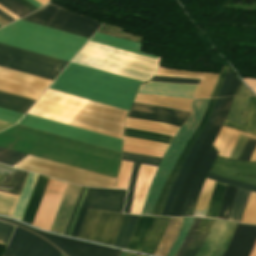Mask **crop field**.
Masks as SVG:
<instances>
[{
    "label": "crop field",
    "mask_w": 256,
    "mask_h": 256,
    "mask_svg": "<svg viewBox=\"0 0 256 256\" xmlns=\"http://www.w3.org/2000/svg\"><path fill=\"white\" fill-rule=\"evenodd\" d=\"M27 1H29L30 3H32L33 5H35L36 7H41V6H43V5H41L40 3H38L37 1H35V0H27Z\"/></svg>",
    "instance_id": "64"
},
{
    "label": "crop field",
    "mask_w": 256,
    "mask_h": 256,
    "mask_svg": "<svg viewBox=\"0 0 256 256\" xmlns=\"http://www.w3.org/2000/svg\"><path fill=\"white\" fill-rule=\"evenodd\" d=\"M189 114L188 112L134 102L129 115H127L130 118L159 121L180 127Z\"/></svg>",
    "instance_id": "16"
},
{
    "label": "crop field",
    "mask_w": 256,
    "mask_h": 256,
    "mask_svg": "<svg viewBox=\"0 0 256 256\" xmlns=\"http://www.w3.org/2000/svg\"><path fill=\"white\" fill-rule=\"evenodd\" d=\"M227 69H228L227 67H224V69L222 70L220 78H219V80H218V82H217V84H216V86H215V88L213 90V93H212L210 98H213V97L217 96V93H218L220 85H221V83H222V81H223V79L225 77Z\"/></svg>",
    "instance_id": "55"
},
{
    "label": "crop field",
    "mask_w": 256,
    "mask_h": 256,
    "mask_svg": "<svg viewBox=\"0 0 256 256\" xmlns=\"http://www.w3.org/2000/svg\"><path fill=\"white\" fill-rule=\"evenodd\" d=\"M72 63L50 89L129 110L142 82Z\"/></svg>",
    "instance_id": "2"
},
{
    "label": "crop field",
    "mask_w": 256,
    "mask_h": 256,
    "mask_svg": "<svg viewBox=\"0 0 256 256\" xmlns=\"http://www.w3.org/2000/svg\"><path fill=\"white\" fill-rule=\"evenodd\" d=\"M33 102L34 100L26 99L0 91L1 108L25 114V112L29 109Z\"/></svg>",
    "instance_id": "30"
},
{
    "label": "crop field",
    "mask_w": 256,
    "mask_h": 256,
    "mask_svg": "<svg viewBox=\"0 0 256 256\" xmlns=\"http://www.w3.org/2000/svg\"><path fill=\"white\" fill-rule=\"evenodd\" d=\"M240 83L241 82L235 77V75H233L224 97L234 95L235 91H236L237 87L240 85Z\"/></svg>",
    "instance_id": "53"
},
{
    "label": "crop field",
    "mask_w": 256,
    "mask_h": 256,
    "mask_svg": "<svg viewBox=\"0 0 256 256\" xmlns=\"http://www.w3.org/2000/svg\"><path fill=\"white\" fill-rule=\"evenodd\" d=\"M218 152L219 151L212 146L211 149L209 150V152L207 153V155L200 167V170L195 178V181L188 193L181 216H192L193 215V211H194L202 184H203L205 177L211 167V164Z\"/></svg>",
    "instance_id": "23"
},
{
    "label": "crop field",
    "mask_w": 256,
    "mask_h": 256,
    "mask_svg": "<svg viewBox=\"0 0 256 256\" xmlns=\"http://www.w3.org/2000/svg\"><path fill=\"white\" fill-rule=\"evenodd\" d=\"M138 217L139 216L136 215H124L119 230L112 244L113 246H117L124 249L126 248Z\"/></svg>",
    "instance_id": "32"
},
{
    "label": "crop field",
    "mask_w": 256,
    "mask_h": 256,
    "mask_svg": "<svg viewBox=\"0 0 256 256\" xmlns=\"http://www.w3.org/2000/svg\"><path fill=\"white\" fill-rule=\"evenodd\" d=\"M0 24L6 25V24H8V22L0 17Z\"/></svg>",
    "instance_id": "66"
},
{
    "label": "crop field",
    "mask_w": 256,
    "mask_h": 256,
    "mask_svg": "<svg viewBox=\"0 0 256 256\" xmlns=\"http://www.w3.org/2000/svg\"><path fill=\"white\" fill-rule=\"evenodd\" d=\"M81 188V186L68 184L50 231L65 234Z\"/></svg>",
    "instance_id": "22"
},
{
    "label": "crop field",
    "mask_w": 256,
    "mask_h": 256,
    "mask_svg": "<svg viewBox=\"0 0 256 256\" xmlns=\"http://www.w3.org/2000/svg\"><path fill=\"white\" fill-rule=\"evenodd\" d=\"M124 136L153 140V141L163 142L167 144H170L171 140L173 139L172 136L145 132V131H138V130H129V129H125Z\"/></svg>",
    "instance_id": "38"
},
{
    "label": "crop field",
    "mask_w": 256,
    "mask_h": 256,
    "mask_svg": "<svg viewBox=\"0 0 256 256\" xmlns=\"http://www.w3.org/2000/svg\"><path fill=\"white\" fill-rule=\"evenodd\" d=\"M199 220H200V218H195L194 219L192 227H191L185 241L183 242L181 248L179 249L178 253L176 254V256H183V254L186 251L187 247L189 246L194 234L197 232V228H198V225H199Z\"/></svg>",
    "instance_id": "46"
},
{
    "label": "crop field",
    "mask_w": 256,
    "mask_h": 256,
    "mask_svg": "<svg viewBox=\"0 0 256 256\" xmlns=\"http://www.w3.org/2000/svg\"><path fill=\"white\" fill-rule=\"evenodd\" d=\"M255 144H256V140L249 138L242 153H241L239 160L249 161L251 158V155L254 151Z\"/></svg>",
    "instance_id": "50"
},
{
    "label": "crop field",
    "mask_w": 256,
    "mask_h": 256,
    "mask_svg": "<svg viewBox=\"0 0 256 256\" xmlns=\"http://www.w3.org/2000/svg\"><path fill=\"white\" fill-rule=\"evenodd\" d=\"M19 125L83 141L121 152V139L101 135L58 122L26 114Z\"/></svg>",
    "instance_id": "8"
},
{
    "label": "crop field",
    "mask_w": 256,
    "mask_h": 256,
    "mask_svg": "<svg viewBox=\"0 0 256 256\" xmlns=\"http://www.w3.org/2000/svg\"><path fill=\"white\" fill-rule=\"evenodd\" d=\"M250 256H256V244H255L254 249H253Z\"/></svg>",
    "instance_id": "67"
},
{
    "label": "crop field",
    "mask_w": 256,
    "mask_h": 256,
    "mask_svg": "<svg viewBox=\"0 0 256 256\" xmlns=\"http://www.w3.org/2000/svg\"><path fill=\"white\" fill-rule=\"evenodd\" d=\"M90 42H94V43H98V44L106 45V46H109V47H113V48H117V49L125 50V51H128V52H132V53L140 54V55H143V56H147V57H151V58H155V59H159V60L161 59V58H159V57L152 56V55H149V54H146V53L140 52V51H136V50L128 49V48H125V47H121V46H117V45L109 44V43L102 42V41H98V40H94V39H90Z\"/></svg>",
    "instance_id": "52"
},
{
    "label": "crop field",
    "mask_w": 256,
    "mask_h": 256,
    "mask_svg": "<svg viewBox=\"0 0 256 256\" xmlns=\"http://www.w3.org/2000/svg\"><path fill=\"white\" fill-rule=\"evenodd\" d=\"M0 28H1V26H0Z\"/></svg>",
    "instance_id": "71"
},
{
    "label": "crop field",
    "mask_w": 256,
    "mask_h": 256,
    "mask_svg": "<svg viewBox=\"0 0 256 256\" xmlns=\"http://www.w3.org/2000/svg\"><path fill=\"white\" fill-rule=\"evenodd\" d=\"M61 253L48 242L16 228L3 256H60Z\"/></svg>",
    "instance_id": "12"
},
{
    "label": "crop field",
    "mask_w": 256,
    "mask_h": 256,
    "mask_svg": "<svg viewBox=\"0 0 256 256\" xmlns=\"http://www.w3.org/2000/svg\"><path fill=\"white\" fill-rule=\"evenodd\" d=\"M14 227L0 222V245L6 246Z\"/></svg>",
    "instance_id": "49"
},
{
    "label": "crop field",
    "mask_w": 256,
    "mask_h": 256,
    "mask_svg": "<svg viewBox=\"0 0 256 256\" xmlns=\"http://www.w3.org/2000/svg\"><path fill=\"white\" fill-rule=\"evenodd\" d=\"M12 171L13 168L0 165V191ZM27 174V172L14 169L2 191L19 195ZM3 192H0V214L11 217L19 196Z\"/></svg>",
    "instance_id": "15"
},
{
    "label": "crop field",
    "mask_w": 256,
    "mask_h": 256,
    "mask_svg": "<svg viewBox=\"0 0 256 256\" xmlns=\"http://www.w3.org/2000/svg\"><path fill=\"white\" fill-rule=\"evenodd\" d=\"M232 74H233V72L228 70V72L226 74V77L224 79V82H223V84L221 86V89H220L219 94H218L217 97H223L224 96V93L226 91L227 85H228V83L230 81V78H231Z\"/></svg>",
    "instance_id": "54"
},
{
    "label": "crop field",
    "mask_w": 256,
    "mask_h": 256,
    "mask_svg": "<svg viewBox=\"0 0 256 256\" xmlns=\"http://www.w3.org/2000/svg\"><path fill=\"white\" fill-rule=\"evenodd\" d=\"M11 125H13V124H9V123H5V122L0 121V131L9 127V126H11Z\"/></svg>",
    "instance_id": "62"
},
{
    "label": "crop field",
    "mask_w": 256,
    "mask_h": 256,
    "mask_svg": "<svg viewBox=\"0 0 256 256\" xmlns=\"http://www.w3.org/2000/svg\"><path fill=\"white\" fill-rule=\"evenodd\" d=\"M184 218L171 217L167 225L166 231L156 249L155 256H167L173 242L175 241Z\"/></svg>",
    "instance_id": "28"
},
{
    "label": "crop field",
    "mask_w": 256,
    "mask_h": 256,
    "mask_svg": "<svg viewBox=\"0 0 256 256\" xmlns=\"http://www.w3.org/2000/svg\"><path fill=\"white\" fill-rule=\"evenodd\" d=\"M151 80L172 82V83H190V84H199V82H200V80H194V79L167 78V77H159V76H154Z\"/></svg>",
    "instance_id": "51"
},
{
    "label": "crop field",
    "mask_w": 256,
    "mask_h": 256,
    "mask_svg": "<svg viewBox=\"0 0 256 256\" xmlns=\"http://www.w3.org/2000/svg\"><path fill=\"white\" fill-rule=\"evenodd\" d=\"M67 182L49 179L37 214L35 216L33 226L50 230L59 204L65 192Z\"/></svg>",
    "instance_id": "14"
},
{
    "label": "crop field",
    "mask_w": 256,
    "mask_h": 256,
    "mask_svg": "<svg viewBox=\"0 0 256 256\" xmlns=\"http://www.w3.org/2000/svg\"><path fill=\"white\" fill-rule=\"evenodd\" d=\"M216 99H210L209 102H208V105H207V108L205 110V113H204V116L202 118V121L200 123V125L198 126V128L196 129V131L194 132V134L192 135V137L190 138L189 142L187 143L186 147L184 148L183 152L181 153L180 157L178 158L176 164H175V167L173 168L169 178L167 179L161 193H160V196L158 198V201L155 205V208H154V212L152 215H156V216H160L161 213H162V210L164 208V205H165V202L167 200V197H168V194L170 192V189L179 173V170L183 164V162L185 161L187 155L189 154L197 136L199 135L200 131L202 130L208 116H209V113L213 107V104L215 102Z\"/></svg>",
    "instance_id": "18"
},
{
    "label": "crop field",
    "mask_w": 256,
    "mask_h": 256,
    "mask_svg": "<svg viewBox=\"0 0 256 256\" xmlns=\"http://www.w3.org/2000/svg\"><path fill=\"white\" fill-rule=\"evenodd\" d=\"M225 126L256 136V98L250 97L246 127L225 121Z\"/></svg>",
    "instance_id": "34"
},
{
    "label": "crop field",
    "mask_w": 256,
    "mask_h": 256,
    "mask_svg": "<svg viewBox=\"0 0 256 256\" xmlns=\"http://www.w3.org/2000/svg\"><path fill=\"white\" fill-rule=\"evenodd\" d=\"M248 99L247 96H236L234 98L229 116L227 119L234 121L236 123H239L241 125H244L246 120V113H247V105H248ZM244 113V116L242 115Z\"/></svg>",
    "instance_id": "33"
},
{
    "label": "crop field",
    "mask_w": 256,
    "mask_h": 256,
    "mask_svg": "<svg viewBox=\"0 0 256 256\" xmlns=\"http://www.w3.org/2000/svg\"><path fill=\"white\" fill-rule=\"evenodd\" d=\"M225 184L215 183L214 190L211 196V200L207 209L205 217L216 218L220 207L222 196L225 190Z\"/></svg>",
    "instance_id": "37"
},
{
    "label": "crop field",
    "mask_w": 256,
    "mask_h": 256,
    "mask_svg": "<svg viewBox=\"0 0 256 256\" xmlns=\"http://www.w3.org/2000/svg\"><path fill=\"white\" fill-rule=\"evenodd\" d=\"M26 154L0 147V163L14 166ZM15 167L84 186L114 188L115 178L27 155Z\"/></svg>",
    "instance_id": "4"
},
{
    "label": "crop field",
    "mask_w": 256,
    "mask_h": 256,
    "mask_svg": "<svg viewBox=\"0 0 256 256\" xmlns=\"http://www.w3.org/2000/svg\"><path fill=\"white\" fill-rule=\"evenodd\" d=\"M122 159L134 162L132 174H131V178H130V182H129L128 192H127L125 209H124V213H129L132 195H133L134 186H135V181H136V176H137V172H138L140 163L158 166L161 158L147 156V155H141V154L122 152Z\"/></svg>",
    "instance_id": "25"
},
{
    "label": "crop field",
    "mask_w": 256,
    "mask_h": 256,
    "mask_svg": "<svg viewBox=\"0 0 256 256\" xmlns=\"http://www.w3.org/2000/svg\"><path fill=\"white\" fill-rule=\"evenodd\" d=\"M16 1H18L21 4H23L24 6H26L27 8H29L32 11L38 9L35 6H33L32 4H30L29 2H27L26 0H16Z\"/></svg>",
    "instance_id": "57"
},
{
    "label": "crop field",
    "mask_w": 256,
    "mask_h": 256,
    "mask_svg": "<svg viewBox=\"0 0 256 256\" xmlns=\"http://www.w3.org/2000/svg\"><path fill=\"white\" fill-rule=\"evenodd\" d=\"M241 223L256 224V193H249Z\"/></svg>",
    "instance_id": "40"
},
{
    "label": "crop field",
    "mask_w": 256,
    "mask_h": 256,
    "mask_svg": "<svg viewBox=\"0 0 256 256\" xmlns=\"http://www.w3.org/2000/svg\"><path fill=\"white\" fill-rule=\"evenodd\" d=\"M67 63L68 61L0 44V66L9 69L53 80Z\"/></svg>",
    "instance_id": "6"
},
{
    "label": "crop field",
    "mask_w": 256,
    "mask_h": 256,
    "mask_svg": "<svg viewBox=\"0 0 256 256\" xmlns=\"http://www.w3.org/2000/svg\"><path fill=\"white\" fill-rule=\"evenodd\" d=\"M211 173L221 175L227 178L238 180L241 182L256 185V179L245 178L234 176L233 174H240L244 176L256 177V164L252 163H237L234 161H229L227 159L217 157Z\"/></svg>",
    "instance_id": "20"
},
{
    "label": "crop field",
    "mask_w": 256,
    "mask_h": 256,
    "mask_svg": "<svg viewBox=\"0 0 256 256\" xmlns=\"http://www.w3.org/2000/svg\"><path fill=\"white\" fill-rule=\"evenodd\" d=\"M23 114L15 113L0 108V120L15 124Z\"/></svg>",
    "instance_id": "48"
},
{
    "label": "crop field",
    "mask_w": 256,
    "mask_h": 256,
    "mask_svg": "<svg viewBox=\"0 0 256 256\" xmlns=\"http://www.w3.org/2000/svg\"><path fill=\"white\" fill-rule=\"evenodd\" d=\"M124 254H125V253H124V252H122L120 256H124Z\"/></svg>",
    "instance_id": "68"
},
{
    "label": "crop field",
    "mask_w": 256,
    "mask_h": 256,
    "mask_svg": "<svg viewBox=\"0 0 256 256\" xmlns=\"http://www.w3.org/2000/svg\"><path fill=\"white\" fill-rule=\"evenodd\" d=\"M214 183H215L214 181H210L207 179L205 180V183L202 188L193 216H200V217L205 216Z\"/></svg>",
    "instance_id": "36"
},
{
    "label": "crop field",
    "mask_w": 256,
    "mask_h": 256,
    "mask_svg": "<svg viewBox=\"0 0 256 256\" xmlns=\"http://www.w3.org/2000/svg\"><path fill=\"white\" fill-rule=\"evenodd\" d=\"M61 256H63V255H61Z\"/></svg>",
    "instance_id": "72"
},
{
    "label": "crop field",
    "mask_w": 256,
    "mask_h": 256,
    "mask_svg": "<svg viewBox=\"0 0 256 256\" xmlns=\"http://www.w3.org/2000/svg\"><path fill=\"white\" fill-rule=\"evenodd\" d=\"M86 99L48 89L28 114L67 124ZM127 111L87 100L68 123L121 138Z\"/></svg>",
    "instance_id": "1"
},
{
    "label": "crop field",
    "mask_w": 256,
    "mask_h": 256,
    "mask_svg": "<svg viewBox=\"0 0 256 256\" xmlns=\"http://www.w3.org/2000/svg\"><path fill=\"white\" fill-rule=\"evenodd\" d=\"M208 231L198 229L196 236L185 252L184 256H196L198 250L200 249Z\"/></svg>",
    "instance_id": "42"
},
{
    "label": "crop field",
    "mask_w": 256,
    "mask_h": 256,
    "mask_svg": "<svg viewBox=\"0 0 256 256\" xmlns=\"http://www.w3.org/2000/svg\"><path fill=\"white\" fill-rule=\"evenodd\" d=\"M0 219H4V218L0 217ZM4 220L18 224L24 228H27L41 235L46 240L50 241L51 243L56 245L58 248H60L67 256H119L121 253L120 251L112 250L109 248L39 232L35 229L22 225L13 220H8V219H4Z\"/></svg>",
    "instance_id": "13"
},
{
    "label": "crop field",
    "mask_w": 256,
    "mask_h": 256,
    "mask_svg": "<svg viewBox=\"0 0 256 256\" xmlns=\"http://www.w3.org/2000/svg\"><path fill=\"white\" fill-rule=\"evenodd\" d=\"M21 20L88 38H90L102 24L98 21L58 9L49 4L44 8L22 18Z\"/></svg>",
    "instance_id": "7"
},
{
    "label": "crop field",
    "mask_w": 256,
    "mask_h": 256,
    "mask_svg": "<svg viewBox=\"0 0 256 256\" xmlns=\"http://www.w3.org/2000/svg\"><path fill=\"white\" fill-rule=\"evenodd\" d=\"M93 38L141 51V45L139 44L131 43L128 41L120 40V39L109 37L106 35L96 33Z\"/></svg>",
    "instance_id": "44"
},
{
    "label": "crop field",
    "mask_w": 256,
    "mask_h": 256,
    "mask_svg": "<svg viewBox=\"0 0 256 256\" xmlns=\"http://www.w3.org/2000/svg\"><path fill=\"white\" fill-rule=\"evenodd\" d=\"M247 137L243 136V135H239L230 155H229V158H232V159H238L246 141H247Z\"/></svg>",
    "instance_id": "47"
},
{
    "label": "crop field",
    "mask_w": 256,
    "mask_h": 256,
    "mask_svg": "<svg viewBox=\"0 0 256 256\" xmlns=\"http://www.w3.org/2000/svg\"><path fill=\"white\" fill-rule=\"evenodd\" d=\"M86 189H87V188H86ZM86 189H85V191H84V194H85V192H86ZM84 194H83V196H82V199H81L80 204H79V206H78L77 212H76V214H75V217H74V219H73V222H72L71 227H70V229H69V232H68V234H67L68 236L70 235V232H71V230H72V227H73V224H74V222H75V219H76L77 213H78V211H79L81 202H82V200H83Z\"/></svg>",
    "instance_id": "59"
},
{
    "label": "crop field",
    "mask_w": 256,
    "mask_h": 256,
    "mask_svg": "<svg viewBox=\"0 0 256 256\" xmlns=\"http://www.w3.org/2000/svg\"><path fill=\"white\" fill-rule=\"evenodd\" d=\"M248 193H249L248 191H245L239 188L237 189L232 210L228 220L239 222V223L241 222V218L243 215Z\"/></svg>",
    "instance_id": "35"
},
{
    "label": "crop field",
    "mask_w": 256,
    "mask_h": 256,
    "mask_svg": "<svg viewBox=\"0 0 256 256\" xmlns=\"http://www.w3.org/2000/svg\"><path fill=\"white\" fill-rule=\"evenodd\" d=\"M194 217H187L184 219L182 228H181V232L176 240V242L174 243L171 251L169 252L168 256H175V254L177 253L178 249L180 248L182 242L184 241L190 227L192 224Z\"/></svg>",
    "instance_id": "41"
},
{
    "label": "crop field",
    "mask_w": 256,
    "mask_h": 256,
    "mask_svg": "<svg viewBox=\"0 0 256 256\" xmlns=\"http://www.w3.org/2000/svg\"><path fill=\"white\" fill-rule=\"evenodd\" d=\"M247 84L248 86L254 91L256 92V80L254 79H247V78H242Z\"/></svg>",
    "instance_id": "56"
},
{
    "label": "crop field",
    "mask_w": 256,
    "mask_h": 256,
    "mask_svg": "<svg viewBox=\"0 0 256 256\" xmlns=\"http://www.w3.org/2000/svg\"><path fill=\"white\" fill-rule=\"evenodd\" d=\"M233 98L234 97L223 98L222 105L218 112L217 118H216L213 126L209 130L208 134L206 135L201 147L199 148V150H198V152L188 170V173H187L186 178L183 182V185L180 189V192L173 204L172 210L170 212V216H180L181 215V211H182L187 193L194 181V178L199 170V167H200L208 149L212 146V144L217 136V133L228 114V111L230 109Z\"/></svg>",
    "instance_id": "9"
},
{
    "label": "crop field",
    "mask_w": 256,
    "mask_h": 256,
    "mask_svg": "<svg viewBox=\"0 0 256 256\" xmlns=\"http://www.w3.org/2000/svg\"><path fill=\"white\" fill-rule=\"evenodd\" d=\"M0 5H2L20 18L32 13L14 0H0Z\"/></svg>",
    "instance_id": "43"
},
{
    "label": "crop field",
    "mask_w": 256,
    "mask_h": 256,
    "mask_svg": "<svg viewBox=\"0 0 256 256\" xmlns=\"http://www.w3.org/2000/svg\"><path fill=\"white\" fill-rule=\"evenodd\" d=\"M124 214L89 210L78 238L111 245Z\"/></svg>",
    "instance_id": "10"
},
{
    "label": "crop field",
    "mask_w": 256,
    "mask_h": 256,
    "mask_svg": "<svg viewBox=\"0 0 256 256\" xmlns=\"http://www.w3.org/2000/svg\"><path fill=\"white\" fill-rule=\"evenodd\" d=\"M154 217L141 216L126 249L139 252L152 224Z\"/></svg>",
    "instance_id": "31"
},
{
    "label": "crop field",
    "mask_w": 256,
    "mask_h": 256,
    "mask_svg": "<svg viewBox=\"0 0 256 256\" xmlns=\"http://www.w3.org/2000/svg\"><path fill=\"white\" fill-rule=\"evenodd\" d=\"M221 99L216 100L214 108H213V110H212V112H211V114H210V116H209V118L206 122V125H205L203 131L201 132L200 136L196 140L190 154L188 155V157H187V159H186V161H185V163H184V165H183V167H182V169H181V171H180V173H179V175H178V177H177V179H176V181H175V183H174V185L171 189V192L169 194L168 200L166 202L165 208H164L163 213H162L161 216H168L169 215L170 209H171L172 204H173V202H174V200L177 196V193H178L179 188L182 184V181L185 177V174H186V172L189 168V165H190V163H191V161H192L200 143L202 142L203 138L205 137V135L207 134L208 130L210 129V127L212 126V124L215 120V117L217 115Z\"/></svg>",
    "instance_id": "21"
},
{
    "label": "crop field",
    "mask_w": 256,
    "mask_h": 256,
    "mask_svg": "<svg viewBox=\"0 0 256 256\" xmlns=\"http://www.w3.org/2000/svg\"><path fill=\"white\" fill-rule=\"evenodd\" d=\"M87 40L21 20L0 29V43L68 61Z\"/></svg>",
    "instance_id": "3"
},
{
    "label": "crop field",
    "mask_w": 256,
    "mask_h": 256,
    "mask_svg": "<svg viewBox=\"0 0 256 256\" xmlns=\"http://www.w3.org/2000/svg\"><path fill=\"white\" fill-rule=\"evenodd\" d=\"M207 178L217 180V181H220V182L228 184V185H232V186L243 188V189H246V190H249V191H255L256 192V186H252V185L232 181V180H229L227 178L219 177V176H216V175L210 174V173L208 174Z\"/></svg>",
    "instance_id": "45"
},
{
    "label": "crop field",
    "mask_w": 256,
    "mask_h": 256,
    "mask_svg": "<svg viewBox=\"0 0 256 256\" xmlns=\"http://www.w3.org/2000/svg\"><path fill=\"white\" fill-rule=\"evenodd\" d=\"M169 217H156L150 232L140 250L141 253L153 255L161 236L166 228Z\"/></svg>",
    "instance_id": "26"
},
{
    "label": "crop field",
    "mask_w": 256,
    "mask_h": 256,
    "mask_svg": "<svg viewBox=\"0 0 256 256\" xmlns=\"http://www.w3.org/2000/svg\"><path fill=\"white\" fill-rule=\"evenodd\" d=\"M0 15L10 22L16 21L13 18H11L10 16H8L7 14H5L4 12H2L1 10H0Z\"/></svg>",
    "instance_id": "61"
},
{
    "label": "crop field",
    "mask_w": 256,
    "mask_h": 256,
    "mask_svg": "<svg viewBox=\"0 0 256 256\" xmlns=\"http://www.w3.org/2000/svg\"><path fill=\"white\" fill-rule=\"evenodd\" d=\"M236 189H237L236 187H232L228 185L226 186L224 198H223L220 211L217 217L218 219H225V220L228 219Z\"/></svg>",
    "instance_id": "39"
},
{
    "label": "crop field",
    "mask_w": 256,
    "mask_h": 256,
    "mask_svg": "<svg viewBox=\"0 0 256 256\" xmlns=\"http://www.w3.org/2000/svg\"><path fill=\"white\" fill-rule=\"evenodd\" d=\"M235 225L226 221H215L197 256H222Z\"/></svg>",
    "instance_id": "17"
},
{
    "label": "crop field",
    "mask_w": 256,
    "mask_h": 256,
    "mask_svg": "<svg viewBox=\"0 0 256 256\" xmlns=\"http://www.w3.org/2000/svg\"><path fill=\"white\" fill-rule=\"evenodd\" d=\"M238 95H250V91L245 87V85L243 84L240 92Z\"/></svg>",
    "instance_id": "60"
},
{
    "label": "crop field",
    "mask_w": 256,
    "mask_h": 256,
    "mask_svg": "<svg viewBox=\"0 0 256 256\" xmlns=\"http://www.w3.org/2000/svg\"><path fill=\"white\" fill-rule=\"evenodd\" d=\"M158 168L141 164L130 213L140 214L151 181Z\"/></svg>",
    "instance_id": "24"
},
{
    "label": "crop field",
    "mask_w": 256,
    "mask_h": 256,
    "mask_svg": "<svg viewBox=\"0 0 256 256\" xmlns=\"http://www.w3.org/2000/svg\"><path fill=\"white\" fill-rule=\"evenodd\" d=\"M125 256H129V254L128 253H126V255Z\"/></svg>",
    "instance_id": "69"
},
{
    "label": "crop field",
    "mask_w": 256,
    "mask_h": 256,
    "mask_svg": "<svg viewBox=\"0 0 256 256\" xmlns=\"http://www.w3.org/2000/svg\"><path fill=\"white\" fill-rule=\"evenodd\" d=\"M84 189H85V188L83 187V188H82V191H81V193H80L79 199H78V201H77L75 210H74V212H73L71 221H70V223H69L68 229H69V227H70V224H71V222H72V219H73V217H74L75 211H76V209H77V206H78V204H79V201H80V199H81V196H82V194H83ZM68 229H67V231H66V234H67V232H68ZM66 234H65V235H66Z\"/></svg>",
    "instance_id": "58"
},
{
    "label": "crop field",
    "mask_w": 256,
    "mask_h": 256,
    "mask_svg": "<svg viewBox=\"0 0 256 256\" xmlns=\"http://www.w3.org/2000/svg\"><path fill=\"white\" fill-rule=\"evenodd\" d=\"M250 161H256V148Z\"/></svg>",
    "instance_id": "65"
},
{
    "label": "crop field",
    "mask_w": 256,
    "mask_h": 256,
    "mask_svg": "<svg viewBox=\"0 0 256 256\" xmlns=\"http://www.w3.org/2000/svg\"><path fill=\"white\" fill-rule=\"evenodd\" d=\"M0 9L3 10L4 12H6L7 14H9L10 16H12L14 19H16V20L20 19L17 16H15L14 14H12L11 12H9L8 10H6L5 8H3L2 6H0Z\"/></svg>",
    "instance_id": "63"
},
{
    "label": "crop field",
    "mask_w": 256,
    "mask_h": 256,
    "mask_svg": "<svg viewBox=\"0 0 256 256\" xmlns=\"http://www.w3.org/2000/svg\"><path fill=\"white\" fill-rule=\"evenodd\" d=\"M130 256H136V255H132V254H130Z\"/></svg>",
    "instance_id": "70"
},
{
    "label": "crop field",
    "mask_w": 256,
    "mask_h": 256,
    "mask_svg": "<svg viewBox=\"0 0 256 256\" xmlns=\"http://www.w3.org/2000/svg\"><path fill=\"white\" fill-rule=\"evenodd\" d=\"M208 100L209 99L194 100L191 115L189 116L187 122L180 128L177 135L174 137L161 161L159 169L150 186L142 214H152V210L159 196L161 188L167 179L174 163L176 162L177 158L179 157L180 153L194 132L196 126L200 122Z\"/></svg>",
    "instance_id": "5"
},
{
    "label": "crop field",
    "mask_w": 256,
    "mask_h": 256,
    "mask_svg": "<svg viewBox=\"0 0 256 256\" xmlns=\"http://www.w3.org/2000/svg\"><path fill=\"white\" fill-rule=\"evenodd\" d=\"M48 179V177L40 175L38 176L31 197L29 199L28 205L24 212L23 218L21 220L22 222L32 224V221L34 219L35 213L37 211L38 205L40 203Z\"/></svg>",
    "instance_id": "27"
},
{
    "label": "crop field",
    "mask_w": 256,
    "mask_h": 256,
    "mask_svg": "<svg viewBox=\"0 0 256 256\" xmlns=\"http://www.w3.org/2000/svg\"><path fill=\"white\" fill-rule=\"evenodd\" d=\"M256 240V226L237 224L223 256H249Z\"/></svg>",
    "instance_id": "19"
},
{
    "label": "crop field",
    "mask_w": 256,
    "mask_h": 256,
    "mask_svg": "<svg viewBox=\"0 0 256 256\" xmlns=\"http://www.w3.org/2000/svg\"><path fill=\"white\" fill-rule=\"evenodd\" d=\"M239 133L256 138L254 136L239 132L237 130L222 126L215 142L214 146L220 151L218 156L227 158Z\"/></svg>",
    "instance_id": "29"
},
{
    "label": "crop field",
    "mask_w": 256,
    "mask_h": 256,
    "mask_svg": "<svg viewBox=\"0 0 256 256\" xmlns=\"http://www.w3.org/2000/svg\"><path fill=\"white\" fill-rule=\"evenodd\" d=\"M126 190L88 188L73 230L72 237H78L82 222L88 209L122 212Z\"/></svg>",
    "instance_id": "11"
}]
</instances>
